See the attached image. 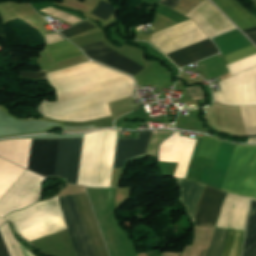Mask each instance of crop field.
<instances>
[{
    "label": "crop field",
    "instance_id": "17",
    "mask_svg": "<svg viewBox=\"0 0 256 256\" xmlns=\"http://www.w3.org/2000/svg\"><path fill=\"white\" fill-rule=\"evenodd\" d=\"M20 77L47 79L46 73L44 70L37 73L22 72Z\"/></svg>",
    "mask_w": 256,
    "mask_h": 256
},
{
    "label": "crop field",
    "instance_id": "13",
    "mask_svg": "<svg viewBox=\"0 0 256 256\" xmlns=\"http://www.w3.org/2000/svg\"><path fill=\"white\" fill-rule=\"evenodd\" d=\"M220 142V140L214 139L206 135L202 141L198 155L214 160L217 155Z\"/></svg>",
    "mask_w": 256,
    "mask_h": 256
},
{
    "label": "crop field",
    "instance_id": "7",
    "mask_svg": "<svg viewBox=\"0 0 256 256\" xmlns=\"http://www.w3.org/2000/svg\"><path fill=\"white\" fill-rule=\"evenodd\" d=\"M152 133L141 132L137 138H118L113 168L122 169L126 161L144 156Z\"/></svg>",
    "mask_w": 256,
    "mask_h": 256
},
{
    "label": "crop field",
    "instance_id": "3",
    "mask_svg": "<svg viewBox=\"0 0 256 256\" xmlns=\"http://www.w3.org/2000/svg\"><path fill=\"white\" fill-rule=\"evenodd\" d=\"M95 256H109L87 193L74 194ZM74 195L59 196L58 201L68 227L76 256H94Z\"/></svg>",
    "mask_w": 256,
    "mask_h": 256
},
{
    "label": "crop field",
    "instance_id": "16",
    "mask_svg": "<svg viewBox=\"0 0 256 256\" xmlns=\"http://www.w3.org/2000/svg\"><path fill=\"white\" fill-rule=\"evenodd\" d=\"M115 9L116 8L110 6L109 4H107L101 0L100 4L97 6V8L94 9L91 13H93L107 21Z\"/></svg>",
    "mask_w": 256,
    "mask_h": 256
},
{
    "label": "crop field",
    "instance_id": "11",
    "mask_svg": "<svg viewBox=\"0 0 256 256\" xmlns=\"http://www.w3.org/2000/svg\"><path fill=\"white\" fill-rule=\"evenodd\" d=\"M242 256H256V199L251 200Z\"/></svg>",
    "mask_w": 256,
    "mask_h": 256
},
{
    "label": "crop field",
    "instance_id": "14",
    "mask_svg": "<svg viewBox=\"0 0 256 256\" xmlns=\"http://www.w3.org/2000/svg\"><path fill=\"white\" fill-rule=\"evenodd\" d=\"M247 136L256 135V107H240Z\"/></svg>",
    "mask_w": 256,
    "mask_h": 256
},
{
    "label": "crop field",
    "instance_id": "6",
    "mask_svg": "<svg viewBox=\"0 0 256 256\" xmlns=\"http://www.w3.org/2000/svg\"><path fill=\"white\" fill-rule=\"evenodd\" d=\"M82 50L91 59L128 74L134 75L145 68L121 55L120 53L112 50L102 42L82 47Z\"/></svg>",
    "mask_w": 256,
    "mask_h": 256
},
{
    "label": "crop field",
    "instance_id": "15",
    "mask_svg": "<svg viewBox=\"0 0 256 256\" xmlns=\"http://www.w3.org/2000/svg\"><path fill=\"white\" fill-rule=\"evenodd\" d=\"M95 28L93 25H91L89 22L84 21L70 29L61 31L60 33H62L64 36H66L67 38L77 35L79 33L85 32L87 30L93 29Z\"/></svg>",
    "mask_w": 256,
    "mask_h": 256
},
{
    "label": "crop field",
    "instance_id": "8",
    "mask_svg": "<svg viewBox=\"0 0 256 256\" xmlns=\"http://www.w3.org/2000/svg\"><path fill=\"white\" fill-rule=\"evenodd\" d=\"M219 53L210 39L167 54L180 68Z\"/></svg>",
    "mask_w": 256,
    "mask_h": 256
},
{
    "label": "crop field",
    "instance_id": "2",
    "mask_svg": "<svg viewBox=\"0 0 256 256\" xmlns=\"http://www.w3.org/2000/svg\"><path fill=\"white\" fill-rule=\"evenodd\" d=\"M83 138L29 139L26 168L43 176H57L76 184Z\"/></svg>",
    "mask_w": 256,
    "mask_h": 256
},
{
    "label": "crop field",
    "instance_id": "12",
    "mask_svg": "<svg viewBox=\"0 0 256 256\" xmlns=\"http://www.w3.org/2000/svg\"><path fill=\"white\" fill-rule=\"evenodd\" d=\"M49 47L55 62L81 55L80 51L67 41L50 45Z\"/></svg>",
    "mask_w": 256,
    "mask_h": 256
},
{
    "label": "crop field",
    "instance_id": "4",
    "mask_svg": "<svg viewBox=\"0 0 256 256\" xmlns=\"http://www.w3.org/2000/svg\"><path fill=\"white\" fill-rule=\"evenodd\" d=\"M222 190L256 197V145H236Z\"/></svg>",
    "mask_w": 256,
    "mask_h": 256
},
{
    "label": "crop field",
    "instance_id": "19",
    "mask_svg": "<svg viewBox=\"0 0 256 256\" xmlns=\"http://www.w3.org/2000/svg\"><path fill=\"white\" fill-rule=\"evenodd\" d=\"M256 44V33L247 35Z\"/></svg>",
    "mask_w": 256,
    "mask_h": 256
},
{
    "label": "crop field",
    "instance_id": "5",
    "mask_svg": "<svg viewBox=\"0 0 256 256\" xmlns=\"http://www.w3.org/2000/svg\"><path fill=\"white\" fill-rule=\"evenodd\" d=\"M214 100L226 105H256V67L223 81Z\"/></svg>",
    "mask_w": 256,
    "mask_h": 256
},
{
    "label": "crop field",
    "instance_id": "1",
    "mask_svg": "<svg viewBox=\"0 0 256 256\" xmlns=\"http://www.w3.org/2000/svg\"><path fill=\"white\" fill-rule=\"evenodd\" d=\"M182 194L181 201L187 208L195 226L214 227L222 191L201 183L176 179ZM229 228H215L208 249L202 256H223ZM245 229L230 228L224 256H240Z\"/></svg>",
    "mask_w": 256,
    "mask_h": 256
},
{
    "label": "crop field",
    "instance_id": "20",
    "mask_svg": "<svg viewBox=\"0 0 256 256\" xmlns=\"http://www.w3.org/2000/svg\"><path fill=\"white\" fill-rule=\"evenodd\" d=\"M255 31H256V28H252V29L244 30L243 32L245 34H247V33L255 32Z\"/></svg>",
    "mask_w": 256,
    "mask_h": 256
},
{
    "label": "crop field",
    "instance_id": "18",
    "mask_svg": "<svg viewBox=\"0 0 256 256\" xmlns=\"http://www.w3.org/2000/svg\"><path fill=\"white\" fill-rule=\"evenodd\" d=\"M180 0H160V3L174 9Z\"/></svg>",
    "mask_w": 256,
    "mask_h": 256
},
{
    "label": "crop field",
    "instance_id": "10",
    "mask_svg": "<svg viewBox=\"0 0 256 256\" xmlns=\"http://www.w3.org/2000/svg\"><path fill=\"white\" fill-rule=\"evenodd\" d=\"M0 233L4 239V242L8 248L11 256H23V254H24V256H33L26 249H24L21 245H19L23 252V254H22L7 222L1 226ZM1 235H0V256H10L8 253V250L3 242Z\"/></svg>",
    "mask_w": 256,
    "mask_h": 256
},
{
    "label": "crop field",
    "instance_id": "9",
    "mask_svg": "<svg viewBox=\"0 0 256 256\" xmlns=\"http://www.w3.org/2000/svg\"><path fill=\"white\" fill-rule=\"evenodd\" d=\"M222 10L241 30L256 27V17L247 12L236 0H211Z\"/></svg>",
    "mask_w": 256,
    "mask_h": 256
}]
</instances>
